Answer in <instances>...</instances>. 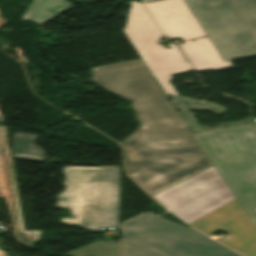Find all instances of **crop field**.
<instances>
[{"label": "crop field", "mask_w": 256, "mask_h": 256, "mask_svg": "<svg viewBox=\"0 0 256 256\" xmlns=\"http://www.w3.org/2000/svg\"><path fill=\"white\" fill-rule=\"evenodd\" d=\"M91 70L138 114L142 128L122 145L129 174L151 196L212 166L142 59Z\"/></svg>", "instance_id": "1"}, {"label": "crop field", "mask_w": 256, "mask_h": 256, "mask_svg": "<svg viewBox=\"0 0 256 256\" xmlns=\"http://www.w3.org/2000/svg\"><path fill=\"white\" fill-rule=\"evenodd\" d=\"M64 200L58 207L71 209V218H60L66 225L98 231V227L117 226L118 168L63 167Z\"/></svg>", "instance_id": "2"}, {"label": "crop field", "mask_w": 256, "mask_h": 256, "mask_svg": "<svg viewBox=\"0 0 256 256\" xmlns=\"http://www.w3.org/2000/svg\"><path fill=\"white\" fill-rule=\"evenodd\" d=\"M122 256H238L189 227L147 212L121 224Z\"/></svg>", "instance_id": "3"}, {"label": "crop field", "mask_w": 256, "mask_h": 256, "mask_svg": "<svg viewBox=\"0 0 256 256\" xmlns=\"http://www.w3.org/2000/svg\"><path fill=\"white\" fill-rule=\"evenodd\" d=\"M241 207L256 205V125L193 134Z\"/></svg>", "instance_id": "4"}, {"label": "crop field", "mask_w": 256, "mask_h": 256, "mask_svg": "<svg viewBox=\"0 0 256 256\" xmlns=\"http://www.w3.org/2000/svg\"><path fill=\"white\" fill-rule=\"evenodd\" d=\"M223 61L256 56V40L232 0H184Z\"/></svg>", "instance_id": "5"}, {"label": "crop field", "mask_w": 256, "mask_h": 256, "mask_svg": "<svg viewBox=\"0 0 256 256\" xmlns=\"http://www.w3.org/2000/svg\"><path fill=\"white\" fill-rule=\"evenodd\" d=\"M129 3L124 32L167 96L175 95L176 92L169 82L173 79L172 75L193 70L175 44L169 45L168 49L157 44L156 40L162 34L143 5L136 1Z\"/></svg>", "instance_id": "6"}, {"label": "crop field", "mask_w": 256, "mask_h": 256, "mask_svg": "<svg viewBox=\"0 0 256 256\" xmlns=\"http://www.w3.org/2000/svg\"><path fill=\"white\" fill-rule=\"evenodd\" d=\"M153 198L188 223L233 195L213 166Z\"/></svg>", "instance_id": "7"}, {"label": "crop field", "mask_w": 256, "mask_h": 256, "mask_svg": "<svg viewBox=\"0 0 256 256\" xmlns=\"http://www.w3.org/2000/svg\"><path fill=\"white\" fill-rule=\"evenodd\" d=\"M206 235L229 234L218 240L244 256H256V229L234 199L188 223Z\"/></svg>", "instance_id": "8"}, {"label": "crop field", "mask_w": 256, "mask_h": 256, "mask_svg": "<svg viewBox=\"0 0 256 256\" xmlns=\"http://www.w3.org/2000/svg\"><path fill=\"white\" fill-rule=\"evenodd\" d=\"M144 5L164 35L183 40L206 36L183 0H163Z\"/></svg>", "instance_id": "9"}, {"label": "crop field", "mask_w": 256, "mask_h": 256, "mask_svg": "<svg viewBox=\"0 0 256 256\" xmlns=\"http://www.w3.org/2000/svg\"><path fill=\"white\" fill-rule=\"evenodd\" d=\"M0 197H7L11 209L17 239L33 247L43 231H23L6 143L0 128ZM34 248V247H33Z\"/></svg>", "instance_id": "10"}, {"label": "crop field", "mask_w": 256, "mask_h": 256, "mask_svg": "<svg viewBox=\"0 0 256 256\" xmlns=\"http://www.w3.org/2000/svg\"><path fill=\"white\" fill-rule=\"evenodd\" d=\"M180 46L196 71L232 67L231 61H222L208 37L195 39V41L187 40Z\"/></svg>", "instance_id": "11"}, {"label": "crop field", "mask_w": 256, "mask_h": 256, "mask_svg": "<svg viewBox=\"0 0 256 256\" xmlns=\"http://www.w3.org/2000/svg\"><path fill=\"white\" fill-rule=\"evenodd\" d=\"M73 6L65 0H33L22 19L42 26Z\"/></svg>", "instance_id": "12"}, {"label": "crop field", "mask_w": 256, "mask_h": 256, "mask_svg": "<svg viewBox=\"0 0 256 256\" xmlns=\"http://www.w3.org/2000/svg\"><path fill=\"white\" fill-rule=\"evenodd\" d=\"M39 137L30 134H15L14 158L43 161L45 150L36 146Z\"/></svg>", "instance_id": "13"}, {"label": "crop field", "mask_w": 256, "mask_h": 256, "mask_svg": "<svg viewBox=\"0 0 256 256\" xmlns=\"http://www.w3.org/2000/svg\"><path fill=\"white\" fill-rule=\"evenodd\" d=\"M119 248L120 243L117 241L102 240L66 253L73 256H119Z\"/></svg>", "instance_id": "14"}, {"label": "crop field", "mask_w": 256, "mask_h": 256, "mask_svg": "<svg viewBox=\"0 0 256 256\" xmlns=\"http://www.w3.org/2000/svg\"><path fill=\"white\" fill-rule=\"evenodd\" d=\"M235 2L256 36V0H235Z\"/></svg>", "instance_id": "15"}, {"label": "crop field", "mask_w": 256, "mask_h": 256, "mask_svg": "<svg viewBox=\"0 0 256 256\" xmlns=\"http://www.w3.org/2000/svg\"><path fill=\"white\" fill-rule=\"evenodd\" d=\"M249 219L252 221L254 226L256 227V206L255 207H246L243 208Z\"/></svg>", "instance_id": "16"}, {"label": "crop field", "mask_w": 256, "mask_h": 256, "mask_svg": "<svg viewBox=\"0 0 256 256\" xmlns=\"http://www.w3.org/2000/svg\"><path fill=\"white\" fill-rule=\"evenodd\" d=\"M152 1H157V0H145L144 3H146V2H152Z\"/></svg>", "instance_id": "17"}, {"label": "crop field", "mask_w": 256, "mask_h": 256, "mask_svg": "<svg viewBox=\"0 0 256 256\" xmlns=\"http://www.w3.org/2000/svg\"><path fill=\"white\" fill-rule=\"evenodd\" d=\"M3 23L5 22L0 18V25H2Z\"/></svg>", "instance_id": "18"}]
</instances>
